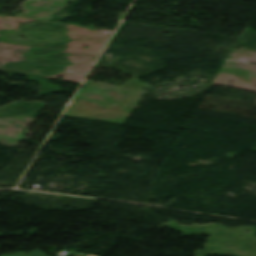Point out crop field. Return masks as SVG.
Returning <instances> with one entry per match:
<instances>
[{
  "label": "crop field",
  "instance_id": "1",
  "mask_svg": "<svg viewBox=\"0 0 256 256\" xmlns=\"http://www.w3.org/2000/svg\"><path fill=\"white\" fill-rule=\"evenodd\" d=\"M2 256H47V255L45 253H43L40 249H38L29 254L22 253V252H16L12 255H2Z\"/></svg>",
  "mask_w": 256,
  "mask_h": 256
},
{
  "label": "crop field",
  "instance_id": "2",
  "mask_svg": "<svg viewBox=\"0 0 256 256\" xmlns=\"http://www.w3.org/2000/svg\"><path fill=\"white\" fill-rule=\"evenodd\" d=\"M83 254V253H82ZM87 256H93V255H91V254H88Z\"/></svg>",
  "mask_w": 256,
  "mask_h": 256
}]
</instances>
